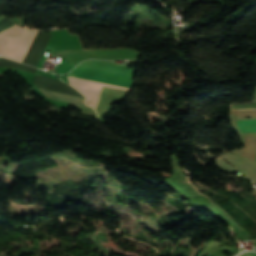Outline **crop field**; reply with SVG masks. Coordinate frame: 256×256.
I'll return each instance as SVG.
<instances>
[{
  "label": "crop field",
  "mask_w": 256,
  "mask_h": 256,
  "mask_svg": "<svg viewBox=\"0 0 256 256\" xmlns=\"http://www.w3.org/2000/svg\"><path fill=\"white\" fill-rule=\"evenodd\" d=\"M255 160H256V157H255Z\"/></svg>",
  "instance_id": "7"
},
{
  "label": "crop field",
  "mask_w": 256,
  "mask_h": 256,
  "mask_svg": "<svg viewBox=\"0 0 256 256\" xmlns=\"http://www.w3.org/2000/svg\"><path fill=\"white\" fill-rule=\"evenodd\" d=\"M23 28L18 27L17 25H14L4 31L0 32V53L3 49L4 40L6 36H17L21 34Z\"/></svg>",
  "instance_id": "4"
},
{
  "label": "crop field",
  "mask_w": 256,
  "mask_h": 256,
  "mask_svg": "<svg viewBox=\"0 0 256 256\" xmlns=\"http://www.w3.org/2000/svg\"><path fill=\"white\" fill-rule=\"evenodd\" d=\"M37 34L38 31H31L25 27L24 33L21 36L7 38L1 55L22 62Z\"/></svg>",
  "instance_id": "1"
},
{
  "label": "crop field",
  "mask_w": 256,
  "mask_h": 256,
  "mask_svg": "<svg viewBox=\"0 0 256 256\" xmlns=\"http://www.w3.org/2000/svg\"><path fill=\"white\" fill-rule=\"evenodd\" d=\"M237 123L241 132L256 131V120H241Z\"/></svg>",
  "instance_id": "5"
},
{
  "label": "crop field",
  "mask_w": 256,
  "mask_h": 256,
  "mask_svg": "<svg viewBox=\"0 0 256 256\" xmlns=\"http://www.w3.org/2000/svg\"><path fill=\"white\" fill-rule=\"evenodd\" d=\"M39 90L45 97H47L49 99L68 102L71 104H75V106H77V107L94 111V109L91 107V105L89 104V102L87 100L76 98V97H71V96H67V95H63V94H59V93H55V92H51V91H47V90H43V89H39Z\"/></svg>",
  "instance_id": "3"
},
{
  "label": "crop field",
  "mask_w": 256,
  "mask_h": 256,
  "mask_svg": "<svg viewBox=\"0 0 256 256\" xmlns=\"http://www.w3.org/2000/svg\"><path fill=\"white\" fill-rule=\"evenodd\" d=\"M68 78H69L70 85L76 88L77 90H79L84 96H86L90 100L94 108H96L98 104L102 86L130 90L129 88H125L117 85L94 82V81H89V80L69 77V76Z\"/></svg>",
  "instance_id": "2"
},
{
  "label": "crop field",
  "mask_w": 256,
  "mask_h": 256,
  "mask_svg": "<svg viewBox=\"0 0 256 256\" xmlns=\"http://www.w3.org/2000/svg\"><path fill=\"white\" fill-rule=\"evenodd\" d=\"M255 101H256V97H255Z\"/></svg>",
  "instance_id": "6"
}]
</instances>
